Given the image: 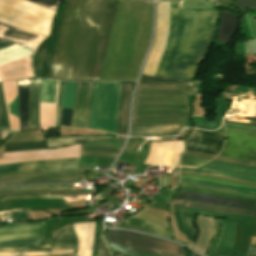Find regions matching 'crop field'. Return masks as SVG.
<instances>
[{"label": "crop field", "instance_id": "obj_41", "mask_svg": "<svg viewBox=\"0 0 256 256\" xmlns=\"http://www.w3.org/2000/svg\"><path fill=\"white\" fill-rule=\"evenodd\" d=\"M30 1L45 5L55 11H56V9L58 7V3H59V0H30Z\"/></svg>", "mask_w": 256, "mask_h": 256}, {"label": "crop field", "instance_id": "obj_38", "mask_svg": "<svg viewBox=\"0 0 256 256\" xmlns=\"http://www.w3.org/2000/svg\"><path fill=\"white\" fill-rule=\"evenodd\" d=\"M63 85H64V81H60L59 93H58V102H57V112H56V125H60Z\"/></svg>", "mask_w": 256, "mask_h": 256}, {"label": "crop field", "instance_id": "obj_34", "mask_svg": "<svg viewBox=\"0 0 256 256\" xmlns=\"http://www.w3.org/2000/svg\"><path fill=\"white\" fill-rule=\"evenodd\" d=\"M0 128L10 129L8 119H7L5 99H4V94L2 91L1 84H0Z\"/></svg>", "mask_w": 256, "mask_h": 256}, {"label": "crop field", "instance_id": "obj_39", "mask_svg": "<svg viewBox=\"0 0 256 256\" xmlns=\"http://www.w3.org/2000/svg\"><path fill=\"white\" fill-rule=\"evenodd\" d=\"M105 172H98L96 169H82L83 180L103 176Z\"/></svg>", "mask_w": 256, "mask_h": 256}, {"label": "crop field", "instance_id": "obj_3", "mask_svg": "<svg viewBox=\"0 0 256 256\" xmlns=\"http://www.w3.org/2000/svg\"><path fill=\"white\" fill-rule=\"evenodd\" d=\"M108 242L171 256H185L182 246L129 231L106 230Z\"/></svg>", "mask_w": 256, "mask_h": 256}, {"label": "crop field", "instance_id": "obj_32", "mask_svg": "<svg viewBox=\"0 0 256 256\" xmlns=\"http://www.w3.org/2000/svg\"><path fill=\"white\" fill-rule=\"evenodd\" d=\"M110 246L114 251L123 252L131 255H135V256H162V255L152 254V253L144 252L137 249H131V248H127L119 245L110 244Z\"/></svg>", "mask_w": 256, "mask_h": 256}, {"label": "crop field", "instance_id": "obj_57", "mask_svg": "<svg viewBox=\"0 0 256 256\" xmlns=\"http://www.w3.org/2000/svg\"><path fill=\"white\" fill-rule=\"evenodd\" d=\"M1 40V39H0Z\"/></svg>", "mask_w": 256, "mask_h": 256}, {"label": "crop field", "instance_id": "obj_17", "mask_svg": "<svg viewBox=\"0 0 256 256\" xmlns=\"http://www.w3.org/2000/svg\"><path fill=\"white\" fill-rule=\"evenodd\" d=\"M1 83L5 94L10 127L13 130H19L17 115L18 100L16 92V80Z\"/></svg>", "mask_w": 256, "mask_h": 256}, {"label": "crop field", "instance_id": "obj_35", "mask_svg": "<svg viewBox=\"0 0 256 256\" xmlns=\"http://www.w3.org/2000/svg\"><path fill=\"white\" fill-rule=\"evenodd\" d=\"M101 83H96L90 128L95 129Z\"/></svg>", "mask_w": 256, "mask_h": 256}, {"label": "crop field", "instance_id": "obj_46", "mask_svg": "<svg viewBox=\"0 0 256 256\" xmlns=\"http://www.w3.org/2000/svg\"><path fill=\"white\" fill-rule=\"evenodd\" d=\"M140 140H141V138L131 137L129 140V144L126 147L125 151H133V149L136 147V145L138 144V142Z\"/></svg>", "mask_w": 256, "mask_h": 256}, {"label": "crop field", "instance_id": "obj_37", "mask_svg": "<svg viewBox=\"0 0 256 256\" xmlns=\"http://www.w3.org/2000/svg\"><path fill=\"white\" fill-rule=\"evenodd\" d=\"M180 176H183V177H190V178H196V179H203V180H210V181H217V182H223V183H229V184H235V185H241V186H248V187H254V188H256V186L247 185V184H243V183H237V182H231V181H225V180H219V179H213V178L195 176V175H190V174H186V173H181Z\"/></svg>", "mask_w": 256, "mask_h": 256}, {"label": "crop field", "instance_id": "obj_4", "mask_svg": "<svg viewBox=\"0 0 256 256\" xmlns=\"http://www.w3.org/2000/svg\"><path fill=\"white\" fill-rule=\"evenodd\" d=\"M173 207L175 210L191 212V213H196V214H201V215H206V216H211V217L252 219V217L218 214V213L205 212V211L188 209V208L177 207V206H173ZM221 221H222V219H217V221H216V225H215L214 233H213V240L211 242V246L209 248L208 254H213V250H214V246H215V243L217 240ZM235 222H236V219H224L222 230H221L220 237H219L217 247H216L214 254H216V255H229L230 254L231 246H232L234 238H235Z\"/></svg>", "mask_w": 256, "mask_h": 256}, {"label": "crop field", "instance_id": "obj_45", "mask_svg": "<svg viewBox=\"0 0 256 256\" xmlns=\"http://www.w3.org/2000/svg\"><path fill=\"white\" fill-rule=\"evenodd\" d=\"M125 228L141 230V231L149 232V233H152V234H155V235H159V236H162V237H165V238H170V239L173 238L172 236L164 235V234H161V233H157V232H154V231L146 230V229L139 228V227L132 226V225H128V224H126Z\"/></svg>", "mask_w": 256, "mask_h": 256}, {"label": "crop field", "instance_id": "obj_12", "mask_svg": "<svg viewBox=\"0 0 256 256\" xmlns=\"http://www.w3.org/2000/svg\"><path fill=\"white\" fill-rule=\"evenodd\" d=\"M45 222L0 226V241L43 238Z\"/></svg>", "mask_w": 256, "mask_h": 256}, {"label": "crop field", "instance_id": "obj_40", "mask_svg": "<svg viewBox=\"0 0 256 256\" xmlns=\"http://www.w3.org/2000/svg\"><path fill=\"white\" fill-rule=\"evenodd\" d=\"M220 155L226 156V157H233V158H240V159L256 161V157H254V156H248V155H243V154H238V153H233V152L222 151Z\"/></svg>", "mask_w": 256, "mask_h": 256}, {"label": "crop field", "instance_id": "obj_54", "mask_svg": "<svg viewBox=\"0 0 256 256\" xmlns=\"http://www.w3.org/2000/svg\"><path fill=\"white\" fill-rule=\"evenodd\" d=\"M191 256H199V255H197V254H195V253L192 252Z\"/></svg>", "mask_w": 256, "mask_h": 256}, {"label": "crop field", "instance_id": "obj_7", "mask_svg": "<svg viewBox=\"0 0 256 256\" xmlns=\"http://www.w3.org/2000/svg\"><path fill=\"white\" fill-rule=\"evenodd\" d=\"M95 83L76 82L71 126L89 128Z\"/></svg>", "mask_w": 256, "mask_h": 256}, {"label": "crop field", "instance_id": "obj_47", "mask_svg": "<svg viewBox=\"0 0 256 256\" xmlns=\"http://www.w3.org/2000/svg\"><path fill=\"white\" fill-rule=\"evenodd\" d=\"M226 127L249 130V131L256 130V127L237 125V124H229V123H226Z\"/></svg>", "mask_w": 256, "mask_h": 256}, {"label": "crop field", "instance_id": "obj_1", "mask_svg": "<svg viewBox=\"0 0 256 256\" xmlns=\"http://www.w3.org/2000/svg\"><path fill=\"white\" fill-rule=\"evenodd\" d=\"M85 1H68L49 78L67 79ZM118 1H86L67 80L99 81Z\"/></svg>", "mask_w": 256, "mask_h": 256}, {"label": "crop field", "instance_id": "obj_30", "mask_svg": "<svg viewBox=\"0 0 256 256\" xmlns=\"http://www.w3.org/2000/svg\"><path fill=\"white\" fill-rule=\"evenodd\" d=\"M131 218H128V219L124 220L123 222L137 225V226L144 227V228H148L151 230H155V231L162 232V233L169 234V235L173 236V229H171V228H167V227H163V226H159V225H155V224H151V223H147V222H143V221H139V220H135V219H131Z\"/></svg>", "mask_w": 256, "mask_h": 256}, {"label": "crop field", "instance_id": "obj_18", "mask_svg": "<svg viewBox=\"0 0 256 256\" xmlns=\"http://www.w3.org/2000/svg\"><path fill=\"white\" fill-rule=\"evenodd\" d=\"M29 91H30V79L17 81L20 130L29 129V122H28Z\"/></svg>", "mask_w": 256, "mask_h": 256}, {"label": "crop field", "instance_id": "obj_48", "mask_svg": "<svg viewBox=\"0 0 256 256\" xmlns=\"http://www.w3.org/2000/svg\"><path fill=\"white\" fill-rule=\"evenodd\" d=\"M12 44H14V43L1 40V41H0V49H1V48H4V47H6V46L12 45Z\"/></svg>", "mask_w": 256, "mask_h": 256}, {"label": "crop field", "instance_id": "obj_44", "mask_svg": "<svg viewBox=\"0 0 256 256\" xmlns=\"http://www.w3.org/2000/svg\"><path fill=\"white\" fill-rule=\"evenodd\" d=\"M99 256H110L109 251L102 239V236L99 238Z\"/></svg>", "mask_w": 256, "mask_h": 256}, {"label": "crop field", "instance_id": "obj_29", "mask_svg": "<svg viewBox=\"0 0 256 256\" xmlns=\"http://www.w3.org/2000/svg\"><path fill=\"white\" fill-rule=\"evenodd\" d=\"M178 224L187 238L194 240L196 230L193 227L194 214L176 211Z\"/></svg>", "mask_w": 256, "mask_h": 256}, {"label": "crop field", "instance_id": "obj_42", "mask_svg": "<svg viewBox=\"0 0 256 256\" xmlns=\"http://www.w3.org/2000/svg\"><path fill=\"white\" fill-rule=\"evenodd\" d=\"M180 169L192 170V171H196V172H202V173H208V174H215V175L227 176V177H232V178H237V179H243V180H249V181H255V182H256V180H254V179H248V178H243V177H238V176H233V175H227V174H221V173L203 171V170H198V169H189V168H180Z\"/></svg>", "mask_w": 256, "mask_h": 256}, {"label": "crop field", "instance_id": "obj_14", "mask_svg": "<svg viewBox=\"0 0 256 256\" xmlns=\"http://www.w3.org/2000/svg\"><path fill=\"white\" fill-rule=\"evenodd\" d=\"M38 34L14 29L6 25L0 24V37L7 40L22 44L30 47L31 43L38 37ZM46 38V36L40 35L31 45V50L34 54L37 46Z\"/></svg>", "mask_w": 256, "mask_h": 256}, {"label": "crop field", "instance_id": "obj_26", "mask_svg": "<svg viewBox=\"0 0 256 256\" xmlns=\"http://www.w3.org/2000/svg\"><path fill=\"white\" fill-rule=\"evenodd\" d=\"M180 183L196 184V185L214 187V188L225 189V190L236 191V192L247 193V194H256V189H249V188L235 186V185L196 180V179H190V178L180 177Z\"/></svg>", "mask_w": 256, "mask_h": 256}, {"label": "crop field", "instance_id": "obj_25", "mask_svg": "<svg viewBox=\"0 0 256 256\" xmlns=\"http://www.w3.org/2000/svg\"><path fill=\"white\" fill-rule=\"evenodd\" d=\"M200 84H201L200 81H193L192 83H170V82H162V81L140 80L138 87H161V88L187 89L188 94L194 95V93L196 92Z\"/></svg>", "mask_w": 256, "mask_h": 256}, {"label": "crop field", "instance_id": "obj_36", "mask_svg": "<svg viewBox=\"0 0 256 256\" xmlns=\"http://www.w3.org/2000/svg\"><path fill=\"white\" fill-rule=\"evenodd\" d=\"M207 161L208 159L182 156L180 164L199 166Z\"/></svg>", "mask_w": 256, "mask_h": 256}, {"label": "crop field", "instance_id": "obj_27", "mask_svg": "<svg viewBox=\"0 0 256 256\" xmlns=\"http://www.w3.org/2000/svg\"><path fill=\"white\" fill-rule=\"evenodd\" d=\"M202 167L226 170V171H232V172H236V173L256 176V168L232 164V163L211 161V162L203 165Z\"/></svg>", "mask_w": 256, "mask_h": 256}, {"label": "crop field", "instance_id": "obj_15", "mask_svg": "<svg viewBox=\"0 0 256 256\" xmlns=\"http://www.w3.org/2000/svg\"><path fill=\"white\" fill-rule=\"evenodd\" d=\"M95 222L74 224L73 229L78 239L77 256H91Z\"/></svg>", "mask_w": 256, "mask_h": 256}, {"label": "crop field", "instance_id": "obj_21", "mask_svg": "<svg viewBox=\"0 0 256 256\" xmlns=\"http://www.w3.org/2000/svg\"><path fill=\"white\" fill-rule=\"evenodd\" d=\"M183 126L178 125H157L139 126L132 125L130 136H160L167 134H177Z\"/></svg>", "mask_w": 256, "mask_h": 256}, {"label": "crop field", "instance_id": "obj_16", "mask_svg": "<svg viewBox=\"0 0 256 256\" xmlns=\"http://www.w3.org/2000/svg\"><path fill=\"white\" fill-rule=\"evenodd\" d=\"M133 81H123L120 87L119 115L117 133L125 134L127 129V119L129 111L130 95L134 86Z\"/></svg>", "mask_w": 256, "mask_h": 256}, {"label": "crop field", "instance_id": "obj_51", "mask_svg": "<svg viewBox=\"0 0 256 256\" xmlns=\"http://www.w3.org/2000/svg\"><path fill=\"white\" fill-rule=\"evenodd\" d=\"M76 254L54 255V256H75Z\"/></svg>", "mask_w": 256, "mask_h": 256}, {"label": "crop field", "instance_id": "obj_53", "mask_svg": "<svg viewBox=\"0 0 256 256\" xmlns=\"http://www.w3.org/2000/svg\"><path fill=\"white\" fill-rule=\"evenodd\" d=\"M247 256H256V254L248 253Z\"/></svg>", "mask_w": 256, "mask_h": 256}, {"label": "crop field", "instance_id": "obj_52", "mask_svg": "<svg viewBox=\"0 0 256 256\" xmlns=\"http://www.w3.org/2000/svg\"><path fill=\"white\" fill-rule=\"evenodd\" d=\"M248 252L256 253V249H252V248H250Z\"/></svg>", "mask_w": 256, "mask_h": 256}, {"label": "crop field", "instance_id": "obj_31", "mask_svg": "<svg viewBox=\"0 0 256 256\" xmlns=\"http://www.w3.org/2000/svg\"><path fill=\"white\" fill-rule=\"evenodd\" d=\"M44 239H27L0 242V247L38 246Z\"/></svg>", "mask_w": 256, "mask_h": 256}, {"label": "crop field", "instance_id": "obj_49", "mask_svg": "<svg viewBox=\"0 0 256 256\" xmlns=\"http://www.w3.org/2000/svg\"><path fill=\"white\" fill-rule=\"evenodd\" d=\"M0 131H1V135H2V139H3V140H4L7 136L10 135V131H8V130H2V129H0Z\"/></svg>", "mask_w": 256, "mask_h": 256}, {"label": "crop field", "instance_id": "obj_56", "mask_svg": "<svg viewBox=\"0 0 256 256\" xmlns=\"http://www.w3.org/2000/svg\"><path fill=\"white\" fill-rule=\"evenodd\" d=\"M123 256H130V255H126V254H122Z\"/></svg>", "mask_w": 256, "mask_h": 256}, {"label": "crop field", "instance_id": "obj_6", "mask_svg": "<svg viewBox=\"0 0 256 256\" xmlns=\"http://www.w3.org/2000/svg\"><path fill=\"white\" fill-rule=\"evenodd\" d=\"M65 170H79V158L25 162L0 166V174L55 172Z\"/></svg>", "mask_w": 256, "mask_h": 256}, {"label": "crop field", "instance_id": "obj_55", "mask_svg": "<svg viewBox=\"0 0 256 256\" xmlns=\"http://www.w3.org/2000/svg\"><path fill=\"white\" fill-rule=\"evenodd\" d=\"M250 247L256 248V245H254V244H251V245H250Z\"/></svg>", "mask_w": 256, "mask_h": 256}, {"label": "crop field", "instance_id": "obj_2", "mask_svg": "<svg viewBox=\"0 0 256 256\" xmlns=\"http://www.w3.org/2000/svg\"><path fill=\"white\" fill-rule=\"evenodd\" d=\"M169 1L167 40L154 76L191 79L215 32L217 11L176 12Z\"/></svg>", "mask_w": 256, "mask_h": 256}, {"label": "crop field", "instance_id": "obj_28", "mask_svg": "<svg viewBox=\"0 0 256 256\" xmlns=\"http://www.w3.org/2000/svg\"><path fill=\"white\" fill-rule=\"evenodd\" d=\"M171 204L195 207V208H199V209L211 210V211H216V212H224V213H232V214H242V215H252V211L226 209V208H220V207H215V206H211V205L194 203V202H188V201H182V200H177V199H174L171 202Z\"/></svg>", "mask_w": 256, "mask_h": 256}, {"label": "crop field", "instance_id": "obj_8", "mask_svg": "<svg viewBox=\"0 0 256 256\" xmlns=\"http://www.w3.org/2000/svg\"><path fill=\"white\" fill-rule=\"evenodd\" d=\"M183 150V140L151 142L145 164L177 166L179 153Z\"/></svg>", "mask_w": 256, "mask_h": 256}, {"label": "crop field", "instance_id": "obj_10", "mask_svg": "<svg viewBox=\"0 0 256 256\" xmlns=\"http://www.w3.org/2000/svg\"><path fill=\"white\" fill-rule=\"evenodd\" d=\"M58 84L59 81L43 79L40 102L41 127L55 125Z\"/></svg>", "mask_w": 256, "mask_h": 256}, {"label": "crop field", "instance_id": "obj_22", "mask_svg": "<svg viewBox=\"0 0 256 256\" xmlns=\"http://www.w3.org/2000/svg\"><path fill=\"white\" fill-rule=\"evenodd\" d=\"M112 138V136L107 135H85V136H68V137H56L46 139V144L49 149L61 147L65 145L85 143V142H94L104 139Z\"/></svg>", "mask_w": 256, "mask_h": 256}, {"label": "crop field", "instance_id": "obj_23", "mask_svg": "<svg viewBox=\"0 0 256 256\" xmlns=\"http://www.w3.org/2000/svg\"><path fill=\"white\" fill-rule=\"evenodd\" d=\"M71 225L53 232L52 250L76 249V240Z\"/></svg>", "mask_w": 256, "mask_h": 256}, {"label": "crop field", "instance_id": "obj_13", "mask_svg": "<svg viewBox=\"0 0 256 256\" xmlns=\"http://www.w3.org/2000/svg\"><path fill=\"white\" fill-rule=\"evenodd\" d=\"M223 149L256 155V132L226 129Z\"/></svg>", "mask_w": 256, "mask_h": 256}, {"label": "crop field", "instance_id": "obj_19", "mask_svg": "<svg viewBox=\"0 0 256 256\" xmlns=\"http://www.w3.org/2000/svg\"><path fill=\"white\" fill-rule=\"evenodd\" d=\"M214 220L215 218L198 216L197 225L200 229V233L196 244L191 248L203 254L206 253L212 235Z\"/></svg>", "mask_w": 256, "mask_h": 256}, {"label": "crop field", "instance_id": "obj_11", "mask_svg": "<svg viewBox=\"0 0 256 256\" xmlns=\"http://www.w3.org/2000/svg\"><path fill=\"white\" fill-rule=\"evenodd\" d=\"M222 143L221 133L193 130L186 139V149L218 155Z\"/></svg>", "mask_w": 256, "mask_h": 256}, {"label": "crop field", "instance_id": "obj_43", "mask_svg": "<svg viewBox=\"0 0 256 256\" xmlns=\"http://www.w3.org/2000/svg\"><path fill=\"white\" fill-rule=\"evenodd\" d=\"M178 188H181V189H188V190H194V191H200V192H206V193H211V194L220 195V196H224V197H231V198H237V199H243V200L255 201V199L240 198V197H235V196L225 195V194L216 193V192H211V191H206V190L189 189V188H183V187H178ZM255 203H256V201H255Z\"/></svg>", "mask_w": 256, "mask_h": 256}, {"label": "crop field", "instance_id": "obj_9", "mask_svg": "<svg viewBox=\"0 0 256 256\" xmlns=\"http://www.w3.org/2000/svg\"><path fill=\"white\" fill-rule=\"evenodd\" d=\"M177 198L216 206L253 210V216H256V204H253V202L250 201L230 199L210 194L184 190H179Z\"/></svg>", "mask_w": 256, "mask_h": 256}, {"label": "crop field", "instance_id": "obj_33", "mask_svg": "<svg viewBox=\"0 0 256 256\" xmlns=\"http://www.w3.org/2000/svg\"><path fill=\"white\" fill-rule=\"evenodd\" d=\"M51 240H45L38 248H0V252H24L50 250Z\"/></svg>", "mask_w": 256, "mask_h": 256}, {"label": "crop field", "instance_id": "obj_50", "mask_svg": "<svg viewBox=\"0 0 256 256\" xmlns=\"http://www.w3.org/2000/svg\"><path fill=\"white\" fill-rule=\"evenodd\" d=\"M168 177L163 175V187H169Z\"/></svg>", "mask_w": 256, "mask_h": 256}, {"label": "crop field", "instance_id": "obj_20", "mask_svg": "<svg viewBox=\"0 0 256 256\" xmlns=\"http://www.w3.org/2000/svg\"><path fill=\"white\" fill-rule=\"evenodd\" d=\"M42 79H31V91L29 101L30 129L39 126V101Z\"/></svg>", "mask_w": 256, "mask_h": 256}, {"label": "crop field", "instance_id": "obj_24", "mask_svg": "<svg viewBox=\"0 0 256 256\" xmlns=\"http://www.w3.org/2000/svg\"><path fill=\"white\" fill-rule=\"evenodd\" d=\"M75 82L65 81L62 107L73 108ZM72 109L62 108L61 125L70 126Z\"/></svg>", "mask_w": 256, "mask_h": 256}, {"label": "crop field", "instance_id": "obj_5", "mask_svg": "<svg viewBox=\"0 0 256 256\" xmlns=\"http://www.w3.org/2000/svg\"><path fill=\"white\" fill-rule=\"evenodd\" d=\"M120 82L102 83L96 129L116 133Z\"/></svg>", "mask_w": 256, "mask_h": 256}]
</instances>
